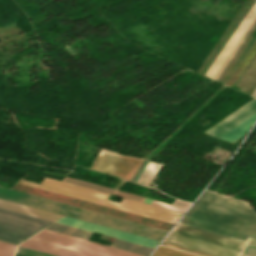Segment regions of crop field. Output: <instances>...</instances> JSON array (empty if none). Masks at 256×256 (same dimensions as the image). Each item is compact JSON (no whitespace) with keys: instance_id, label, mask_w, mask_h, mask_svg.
Masks as SVG:
<instances>
[{"instance_id":"crop-field-1","label":"crop field","mask_w":256,"mask_h":256,"mask_svg":"<svg viewBox=\"0 0 256 256\" xmlns=\"http://www.w3.org/2000/svg\"><path fill=\"white\" fill-rule=\"evenodd\" d=\"M181 222L246 239L256 238V213L248 203L206 191Z\"/></svg>"},{"instance_id":"crop-field-2","label":"crop field","mask_w":256,"mask_h":256,"mask_svg":"<svg viewBox=\"0 0 256 256\" xmlns=\"http://www.w3.org/2000/svg\"><path fill=\"white\" fill-rule=\"evenodd\" d=\"M19 183L27 184L37 188L45 189L48 191L56 192L59 194L67 195L77 199L85 200L88 202L108 206L111 208L131 212L134 214L150 217L153 219L169 222L175 224L181 217L182 213L154 207L151 205L143 204L140 202L131 201L122 198L119 204L105 200L108 194L91 190L85 187L68 184L59 180L45 177L41 183L35 184L27 181H19Z\"/></svg>"},{"instance_id":"crop-field-3","label":"crop field","mask_w":256,"mask_h":256,"mask_svg":"<svg viewBox=\"0 0 256 256\" xmlns=\"http://www.w3.org/2000/svg\"><path fill=\"white\" fill-rule=\"evenodd\" d=\"M20 246L58 256H142L115 247L42 230Z\"/></svg>"},{"instance_id":"crop-field-4","label":"crop field","mask_w":256,"mask_h":256,"mask_svg":"<svg viewBox=\"0 0 256 256\" xmlns=\"http://www.w3.org/2000/svg\"><path fill=\"white\" fill-rule=\"evenodd\" d=\"M165 242L215 256H234L244 239L179 222Z\"/></svg>"},{"instance_id":"crop-field-5","label":"crop field","mask_w":256,"mask_h":256,"mask_svg":"<svg viewBox=\"0 0 256 256\" xmlns=\"http://www.w3.org/2000/svg\"><path fill=\"white\" fill-rule=\"evenodd\" d=\"M50 223L0 209V241L17 245Z\"/></svg>"},{"instance_id":"crop-field-6","label":"crop field","mask_w":256,"mask_h":256,"mask_svg":"<svg viewBox=\"0 0 256 256\" xmlns=\"http://www.w3.org/2000/svg\"><path fill=\"white\" fill-rule=\"evenodd\" d=\"M100 151L109 153V154H113V155H117V156H121L123 158L122 159H118L121 157L113 158V157H117V156H113V155H109V154L100 152L99 155L104 154V155H109V156H113V157L104 156V155L97 156L96 160L94 159L95 161L92 164L91 169H95V170H98L101 172L115 175V176H118V177H121V178H124L127 180H130L133 173L135 172V170L139 166L140 162L142 161L141 158L121 155V154H117V153L102 150V149Z\"/></svg>"},{"instance_id":"crop-field-7","label":"crop field","mask_w":256,"mask_h":256,"mask_svg":"<svg viewBox=\"0 0 256 256\" xmlns=\"http://www.w3.org/2000/svg\"><path fill=\"white\" fill-rule=\"evenodd\" d=\"M256 16V3L253 5V7L251 8V10L249 11V13L246 15V17L244 18V20L241 22V24L239 25V27L237 28V30L234 32V34L232 35V37L229 39V41L227 42V44L224 46V48L222 49V51L220 52V54L217 56V58L215 59V61L212 63V65L210 66V68L208 69V71L205 73V76H208L210 78H212V76L215 74V72L217 71V69L219 68V66L222 64V62L224 61V59L227 57V55L229 54V52L231 51V49L234 47V45L236 44V42L239 40V38L241 37V35L244 33V31L246 30V28L248 27V25L251 23V21L253 20V18ZM256 20L254 21V23L251 25V27L249 28V30L247 31V33L245 34V36L242 38V40L240 41V43L238 44V46L235 48V50L233 51V53L231 54V56L229 57V59L226 61V63L224 64V66L222 67V69L220 70V72L217 74L216 78L218 77V75L221 73V71L223 70V68L225 67V65L228 63V61L230 60V58L232 57V55L235 53V51L237 50V48L239 47V45L241 44V42L244 40V38L246 37V35L248 34V32L251 30V28L253 27V25L255 24ZM256 24L254 25V27L252 28V30L249 32V34L247 35V37L245 38V40L243 41V43L246 41V39L248 38V36L250 35V33L253 31V29L255 28ZM243 43L240 45V47L238 48V50L236 51V53L233 55V57L231 58V60L229 61V63L226 65V67L224 68V70L222 71V73L219 75L218 79L220 78V76L223 74V72L225 71V69L227 68V66L230 64V62L232 61V59L234 58V56L237 54V52L239 51V49L241 48V46L243 45Z\"/></svg>"},{"instance_id":"crop-field-8","label":"crop field","mask_w":256,"mask_h":256,"mask_svg":"<svg viewBox=\"0 0 256 256\" xmlns=\"http://www.w3.org/2000/svg\"><path fill=\"white\" fill-rule=\"evenodd\" d=\"M56 223H60V224H64V225H68V226H72V227L92 231V232L99 233V234H102V235H106V236H109V237H113V238L129 241V242H133V243H136V244H140V245H144V246H148V247H152V248H154L159 243V241L147 239V238H144V237L132 235V234H129V233L113 230V229H110V228L98 226V225H95V224L83 222V221L68 218V217H61L60 219H58L56 221Z\"/></svg>"},{"instance_id":"crop-field-9","label":"crop field","mask_w":256,"mask_h":256,"mask_svg":"<svg viewBox=\"0 0 256 256\" xmlns=\"http://www.w3.org/2000/svg\"><path fill=\"white\" fill-rule=\"evenodd\" d=\"M63 181L74 183V184L85 186V187H89V188H93V189L104 191V192H108L110 194L114 191L113 189H109V188L104 187V186H100V185H96V184H92V183H88V182H84V181H80V180H76V179H72V178H68V177H66ZM104 189H106V190H104ZM114 195H118V196L125 197V198H128V199L136 200V201H140L141 198H142V197L136 196L134 194L123 192V191H119V190H117L114 193ZM177 201H174V203L175 204H179V205H183V206L187 205L186 203H181V202H177ZM143 202L151 204L152 199L145 198ZM154 205L155 206H159V207H163V208H166V209L174 210V211H177L175 209H178L180 211H182V209H183L182 208L183 206L182 207H178L179 205L178 206H174V205H170V204H166V203H162V202H158V201H156L154 203ZM173 208H175V209H173ZM180 211H178V212H180Z\"/></svg>"},{"instance_id":"crop-field-10","label":"crop field","mask_w":256,"mask_h":256,"mask_svg":"<svg viewBox=\"0 0 256 256\" xmlns=\"http://www.w3.org/2000/svg\"><path fill=\"white\" fill-rule=\"evenodd\" d=\"M0 208L18 212L25 215H29L32 217L40 218L43 220L51 221V222H53L54 218L56 217V214L48 213L45 211H41L38 209L30 208L27 206L19 205V204L1 200V199H0Z\"/></svg>"},{"instance_id":"crop-field-11","label":"crop field","mask_w":256,"mask_h":256,"mask_svg":"<svg viewBox=\"0 0 256 256\" xmlns=\"http://www.w3.org/2000/svg\"><path fill=\"white\" fill-rule=\"evenodd\" d=\"M256 120V114L242 122L240 125L226 133L224 136H222L220 139H223L225 141L233 143L236 141L239 137H241L245 132L249 130V128L252 126V124Z\"/></svg>"},{"instance_id":"crop-field-12","label":"crop field","mask_w":256,"mask_h":256,"mask_svg":"<svg viewBox=\"0 0 256 256\" xmlns=\"http://www.w3.org/2000/svg\"><path fill=\"white\" fill-rule=\"evenodd\" d=\"M46 229L61 232L64 234H68V235L79 237L86 240H88V238L92 234L91 232H87V231H83V230H79V229H75V228H71V227H67V226H63L55 223L51 224Z\"/></svg>"},{"instance_id":"crop-field-13","label":"crop field","mask_w":256,"mask_h":256,"mask_svg":"<svg viewBox=\"0 0 256 256\" xmlns=\"http://www.w3.org/2000/svg\"><path fill=\"white\" fill-rule=\"evenodd\" d=\"M111 246H115V247H118V248H122V249L129 250V251H132V252H135V253L146 255V256H148V254L152 250V248H148V247H144V246H140V245H136V244L120 241V240H115L111 244Z\"/></svg>"},{"instance_id":"crop-field-14","label":"crop field","mask_w":256,"mask_h":256,"mask_svg":"<svg viewBox=\"0 0 256 256\" xmlns=\"http://www.w3.org/2000/svg\"><path fill=\"white\" fill-rule=\"evenodd\" d=\"M152 256H195V255H191V254H187L177 250L159 246Z\"/></svg>"},{"instance_id":"crop-field-15","label":"crop field","mask_w":256,"mask_h":256,"mask_svg":"<svg viewBox=\"0 0 256 256\" xmlns=\"http://www.w3.org/2000/svg\"><path fill=\"white\" fill-rule=\"evenodd\" d=\"M17 251L29 253V254L36 255V256H54V255H51V254L35 251V250H32V249H28V248H24V247H20V246H18ZM21 252H17V253H21ZM17 253H16L15 256H25V255L32 256V255L25 254V253H21V254H25V255H21V254H17Z\"/></svg>"},{"instance_id":"crop-field-16","label":"crop field","mask_w":256,"mask_h":256,"mask_svg":"<svg viewBox=\"0 0 256 256\" xmlns=\"http://www.w3.org/2000/svg\"><path fill=\"white\" fill-rule=\"evenodd\" d=\"M15 247V245L0 242V256H12Z\"/></svg>"},{"instance_id":"crop-field-17","label":"crop field","mask_w":256,"mask_h":256,"mask_svg":"<svg viewBox=\"0 0 256 256\" xmlns=\"http://www.w3.org/2000/svg\"><path fill=\"white\" fill-rule=\"evenodd\" d=\"M162 244L166 245V246H169V247L177 248V249H180V250L188 251V252H191V253H195V254H199V255H203V256H210V255H206V254H203V253H199V252L183 249V248H180V247L172 246V245H168V244H164V243H162Z\"/></svg>"},{"instance_id":"crop-field-18","label":"crop field","mask_w":256,"mask_h":256,"mask_svg":"<svg viewBox=\"0 0 256 256\" xmlns=\"http://www.w3.org/2000/svg\"><path fill=\"white\" fill-rule=\"evenodd\" d=\"M244 244H248V245H252V246L256 247V239L247 237Z\"/></svg>"},{"instance_id":"crop-field-19","label":"crop field","mask_w":256,"mask_h":256,"mask_svg":"<svg viewBox=\"0 0 256 256\" xmlns=\"http://www.w3.org/2000/svg\"><path fill=\"white\" fill-rule=\"evenodd\" d=\"M252 96L256 97V89H255V91L252 93Z\"/></svg>"}]
</instances>
